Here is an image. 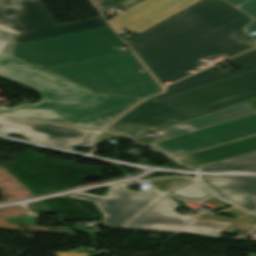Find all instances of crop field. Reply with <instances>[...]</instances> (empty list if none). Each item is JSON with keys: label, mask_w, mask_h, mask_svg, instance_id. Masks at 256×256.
Segmentation results:
<instances>
[{"label": "crop field", "mask_w": 256, "mask_h": 256, "mask_svg": "<svg viewBox=\"0 0 256 256\" xmlns=\"http://www.w3.org/2000/svg\"><path fill=\"white\" fill-rule=\"evenodd\" d=\"M177 205L166 194H160L122 228L223 235L231 228L251 230L256 226L254 224L256 216L249 215L237 208L226 211L238 219L210 215L195 219L193 223L186 222V219L171 210Z\"/></svg>", "instance_id": "crop-field-6"}, {"label": "crop field", "mask_w": 256, "mask_h": 256, "mask_svg": "<svg viewBox=\"0 0 256 256\" xmlns=\"http://www.w3.org/2000/svg\"><path fill=\"white\" fill-rule=\"evenodd\" d=\"M200 181L227 202L250 212L256 210V177L200 176Z\"/></svg>", "instance_id": "crop-field-12"}, {"label": "crop field", "mask_w": 256, "mask_h": 256, "mask_svg": "<svg viewBox=\"0 0 256 256\" xmlns=\"http://www.w3.org/2000/svg\"><path fill=\"white\" fill-rule=\"evenodd\" d=\"M196 1L198 0H146L110 21L118 31L129 29L139 33Z\"/></svg>", "instance_id": "crop-field-11"}, {"label": "crop field", "mask_w": 256, "mask_h": 256, "mask_svg": "<svg viewBox=\"0 0 256 256\" xmlns=\"http://www.w3.org/2000/svg\"><path fill=\"white\" fill-rule=\"evenodd\" d=\"M0 133H16L26 138L71 150L91 146L98 132L0 117Z\"/></svg>", "instance_id": "crop-field-9"}, {"label": "crop field", "mask_w": 256, "mask_h": 256, "mask_svg": "<svg viewBox=\"0 0 256 256\" xmlns=\"http://www.w3.org/2000/svg\"><path fill=\"white\" fill-rule=\"evenodd\" d=\"M110 27L16 45L15 55L41 68L129 52Z\"/></svg>", "instance_id": "crop-field-5"}, {"label": "crop field", "mask_w": 256, "mask_h": 256, "mask_svg": "<svg viewBox=\"0 0 256 256\" xmlns=\"http://www.w3.org/2000/svg\"><path fill=\"white\" fill-rule=\"evenodd\" d=\"M14 35L0 53V76L41 92L35 105L13 109L0 107V114L60 122L84 128H105L139 98L93 93L49 72L12 57Z\"/></svg>", "instance_id": "crop-field-2"}, {"label": "crop field", "mask_w": 256, "mask_h": 256, "mask_svg": "<svg viewBox=\"0 0 256 256\" xmlns=\"http://www.w3.org/2000/svg\"><path fill=\"white\" fill-rule=\"evenodd\" d=\"M228 61L241 67L242 69L226 73L222 70L216 72L212 68H210L187 79H184L174 85L168 86L166 93L154 96L150 99L160 100L214 82H218L230 77L256 70V48L237 57H234Z\"/></svg>", "instance_id": "crop-field-13"}, {"label": "crop field", "mask_w": 256, "mask_h": 256, "mask_svg": "<svg viewBox=\"0 0 256 256\" xmlns=\"http://www.w3.org/2000/svg\"><path fill=\"white\" fill-rule=\"evenodd\" d=\"M229 1L230 3L234 4V5H239L247 0H227Z\"/></svg>", "instance_id": "crop-field-23"}, {"label": "crop field", "mask_w": 256, "mask_h": 256, "mask_svg": "<svg viewBox=\"0 0 256 256\" xmlns=\"http://www.w3.org/2000/svg\"><path fill=\"white\" fill-rule=\"evenodd\" d=\"M164 192L185 200H205L212 196L195 180H190Z\"/></svg>", "instance_id": "crop-field-17"}, {"label": "crop field", "mask_w": 256, "mask_h": 256, "mask_svg": "<svg viewBox=\"0 0 256 256\" xmlns=\"http://www.w3.org/2000/svg\"><path fill=\"white\" fill-rule=\"evenodd\" d=\"M256 200V198H254Z\"/></svg>", "instance_id": "crop-field-25"}, {"label": "crop field", "mask_w": 256, "mask_h": 256, "mask_svg": "<svg viewBox=\"0 0 256 256\" xmlns=\"http://www.w3.org/2000/svg\"><path fill=\"white\" fill-rule=\"evenodd\" d=\"M138 69L143 68L128 54L47 70L94 92L143 97L161 91L144 69V74Z\"/></svg>", "instance_id": "crop-field-4"}, {"label": "crop field", "mask_w": 256, "mask_h": 256, "mask_svg": "<svg viewBox=\"0 0 256 256\" xmlns=\"http://www.w3.org/2000/svg\"><path fill=\"white\" fill-rule=\"evenodd\" d=\"M99 9L121 5L125 10L144 0H93Z\"/></svg>", "instance_id": "crop-field-18"}, {"label": "crop field", "mask_w": 256, "mask_h": 256, "mask_svg": "<svg viewBox=\"0 0 256 256\" xmlns=\"http://www.w3.org/2000/svg\"><path fill=\"white\" fill-rule=\"evenodd\" d=\"M248 103L256 109V100L249 101ZM255 150L256 136L223 146L214 147L189 155L177 157L174 158V160H176L181 165L197 167Z\"/></svg>", "instance_id": "crop-field-14"}, {"label": "crop field", "mask_w": 256, "mask_h": 256, "mask_svg": "<svg viewBox=\"0 0 256 256\" xmlns=\"http://www.w3.org/2000/svg\"><path fill=\"white\" fill-rule=\"evenodd\" d=\"M0 0V29L17 35L16 44L91 30L108 25L102 18L59 26L39 0Z\"/></svg>", "instance_id": "crop-field-7"}, {"label": "crop field", "mask_w": 256, "mask_h": 256, "mask_svg": "<svg viewBox=\"0 0 256 256\" xmlns=\"http://www.w3.org/2000/svg\"><path fill=\"white\" fill-rule=\"evenodd\" d=\"M5 1H6V3H7L8 6L11 5V4H10V0H5Z\"/></svg>", "instance_id": "crop-field-24"}, {"label": "crop field", "mask_w": 256, "mask_h": 256, "mask_svg": "<svg viewBox=\"0 0 256 256\" xmlns=\"http://www.w3.org/2000/svg\"><path fill=\"white\" fill-rule=\"evenodd\" d=\"M256 135V113L160 141L151 146L168 157Z\"/></svg>", "instance_id": "crop-field-8"}, {"label": "crop field", "mask_w": 256, "mask_h": 256, "mask_svg": "<svg viewBox=\"0 0 256 256\" xmlns=\"http://www.w3.org/2000/svg\"><path fill=\"white\" fill-rule=\"evenodd\" d=\"M256 98V71L174 97L147 99L108 130L135 138Z\"/></svg>", "instance_id": "crop-field-3"}, {"label": "crop field", "mask_w": 256, "mask_h": 256, "mask_svg": "<svg viewBox=\"0 0 256 256\" xmlns=\"http://www.w3.org/2000/svg\"><path fill=\"white\" fill-rule=\"evenodd\" d=\"M235 9L221 0H203L127 43L161 83L177 81L200 57L229 58L255 46L242 30L251 18Z\"/></svg>", "instance_id": "crop-field-1"}, {"label": "crop field", "mask_w": 256, "mask_h": 256, "mask_svg": "<svg viewBox=\"0 0 256 256\" xmlns=\"http://www.w3.org/2000/svg\"><path fill=\"white\" fill-rule=\"evenodd\" d=\"M255 112L256 111L252 107L248 106L245 102L236 106L226 108L224 110L218 111L210 115L198 117L193 120L179 123L172 127L163 129V132L165 133V135L162 137L164 139H167V138L181 135L199 128L215 125V124L222 123L237 117L249 115Z\"/></svg>", "instance_id": "crop-field-15"}, {"label": "crop field", "mask_w": 256, "mask_h": 256, "mask_svg": "<svg viewBox=\"0 0 256 256\" xmlns=\"http://www.w3.org/2000/svg\"><path fill=\"white\" fill-rule=\"evenodd\" d=\"M159 194L154 189L132 192L121 186L109 189L106 196L85 194L73 198L95 201L104 214L101 224L104 227L121 228Z\"/></svg>", "instance_id": "crop-field-10"}, {"label": "crop field", "mask_w": 256, "mask_h": 256, "mask_svg": "<svg viewBox=\"0 0 256 256\" xmlns=\"http://www.w3.org/2000/svg\"><path fill=\"white\" fill-rule=\"evenodd\" d=\"M199 169L201 171L256 172V153Z\"/></svg>", "instance_id": "crop-field-16"}, {"label": "crop field", "mask_w": 256, "mask_h": 256, "mask_svg": "<svg viewBox=\"0 0 256 256\" xmlns=\"http://www.w3.org/2000/svg\"><path fill=\"white\" fill-rule=\"evenodd\" d=\"M185 180H187V178H169V179H156V180H151L149 182L152 185L157 186V189L159 191H164V190H166L170 187H173V186H175V185H177V184H179V183H181Z\"/></svg>", "instance_id": "crop-field-19"}, {"label": "crop field", "mask_w": 256, "mask_h": 256, "mask_svg": "<svg viewBox=\"0 0 256 256\" xmlns=\"http://www.w3.org/2000/svg\"><path fill=\"white\" fill-rule=\"evenodd\" d=\"M239 9L243 10L244 12L248 13L249 15L255 18V21L246 28V31L248 33L255 31L256 30V0H251L241 5Z\"/></svg>", "instance_id": "crop-field-20"}, {"label": "crop field", "mask_w": 256, "mask_h": 256, "mask_svg": "<svg viewBox=\"0 0 256 256\" xmlns=\"http://www.w3.org/2000/svg\"><path fill=\"white\" fill-rule=\"evenodd\" d=\"M115 136H117V135L108 134V133H102V134L100 135V137L96 140V144H99V143H101V142H103V141H106V140H108V139H111V138H113V137H115Z\"/></svg>", "instance_id": "crop-field-22"}, {"label": "crop field", "mask_w": 256, "mask_h": 256, "mask_svg": "<svg viewBox=\"0 0 256 256\" xmlns=\"http://www.w3.org/2000/svg\"><path fill=\"white\" fill-rule=\"evenodd\" d=\"M12 33L0 31V52L8 42V40L11 38Z\"/></svg>", "instance_id": "crop-field-21"}]
</instances>
